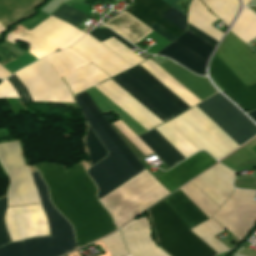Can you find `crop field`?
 <instances>
[{"label":"crop field","mask_w":256,"mask_h":256,"mask_svg":"<svg viewBox=\"0 0 256 256\" xmlns=\"http://www.w3.org/2000/svg\"><path fill=\"white\" fill-rule=\"evenodd\" d=\"M155 129L185 158L205 149L220 159L238 147L196 106Z\"/></svg>","instance_id":"crop-field-3"},{"label":"crop field","mask_w":256,"mask_h":256,"mask_svg":"<svg viewBox=\"0 0 256 256\" xmlns=\"http://www.w3.org/2000/svg\"><path fill=\"white\" fill-rule=\"evenodd\" d=\"M253 11L256 12V7H250Z\"/></svg>","instance_id":"crop-field-47"},{"label":"crop field","mask_w":256,"mask_h":256,"mask_svg":"<svg viewBox=\"0 0 256 256\" xmlns=\"http://www.w3.org/2000/svg\"><path fill=\"white\" fill-rule=\"evenodd\" d=\"M4 30H6L3 26H1L0 25V33L2 32V31H4Z\"/></svg>","instance_id":"crop-field-46"},{"label":"crop field","mask_w":256,"mask_h":256,"mask_svg":"<svg viewBox=\"0 0 256 256\" xmlns=\"http://www.w3.org/2000/svg\"><path fill=\"white\" fill-rule=\"evenodd\" d=\"M11 75L8 71H6L2 66H0V78H5Z\"/></svg>","instance_id":"crop-field-44"},{"label":"crop field","mask_w":256,"mask_h":256,"mask_svg":"<svg viewBox=\"0 0 256 256\" xmlns=\"http://www.w3.org/2000/svg\"><path fill=\"white\" fill-rule=\"evenodd\" d=\"M85 145L90 155L92 165H94L96 162L100 161L107 155V151L99 142L90 127H88L87 130Z\"/></svg>","instance_id":"crop-field-31"},{"label":"crop field","mask_w":256,"mask_h":256,"mask_svg":"<svg viewBox=\"0 0 256 256\" xmlns=\"http://www.w3.org/2000/svg\"><path fill=\"white\" fill-rule=\"evenodd\" d=\"M0 164L10 179L8 206L40 203L30 170L17 141L0 144Z\"/></svg>","instance_id":"crop-field-8"},{"label":"crop field","mask_w":256,"mask_h":256,"mask_svg":"<svg viewBox=\"0 0 256 256\" xmlns=\"http://www.w3.org/2000/svg\"><path fill=\"white\" fill-rule=\"evenodd\" d=\"M6 209V196L0 199V246L10 242L3 224V214Z\"/></svg>","instance_id":"crop-field-38"},{"label":"crop field","mask_w":256,"mask_h":256,"mask_svg":"<svg viewBox=\"0 0 256 256\" xmlns=\"http://www.w3.org/2000/svg\"><path fill=\"white\" fill-rule=\"evenodd\" d=\"M70 48L111 77L133 66L88 34Z\"/></svg>","instance_id":"crop-field-15"},{"label":"crop field","mask_w":256,"mask_h":256,"mask_svg":"<svg viewBox=\"0 0 256 256\" xmlns=\"http://www.w3.org/2000/svg\"><path fill=\"white\" fill-rule=\"evenodd\" d=\"M163 201L189 229L208 220L180 190L169 195Z\"/></svg>","instance_id":"crop-field-23"},{"label":"crop field","mask_w":256,"mask_h":256,"mask_svg":"<svg viewBox=\"0 0 256 256\" xmlns=\"http://www.w3.org/2000/svg\"><path fill=\"white\" fill-rule=\"evenodd\" d=\"M160 246L171 256H212L228 250L214 236L225 228L212 218L189 231L162 201L149 209Z\"/></svg>","instance_id":"crop-field-2"},{"label":"crop field","mask_w":256,"mask_h":256,"mask_svg":"<svg viewBox=\"0 0 256 256\" xmlns=\"http://www.w3.org/2000/svg\"><path fill=\"white\" fill-rule=\"evenodd\" d=\"M248 115H249L254 121H256V111L250 112V113H248Z\"/></svg>","instance_id":"crop-field-45"},{"label":"crop field","mask_w":256,"mask_h":256,"mask_svg":"<svg viewBox=\"0 0 256 256\" xmlns=\"http://www.w3.org/2000/svg\"><path fill=\"white\" fill-rule=\"evenodd\" d=\"M210 76L248 112L256 109V84L246 87L216 55L210 63Z\"/></svg>","instance_id":"crop-field-16"},{"label":"crop field","mask_w":256,"mask_h":256,"mask_svg":"<svg viewBox=\"0 0 256 256\" xmlns=\"http://www.w3.org/2000/svg\"><path fill=\"white\" fill-rule=\"evenodd\" d=\"M132 43H137L145 37L151 29L123 11L113 19L104 23Z\"/></svg>","instance_id":"crop-field-25"},{"label":"crop field","mask_w":256,"mask_h":256,"mask_svg":"<svg viewBox=\"0 0 256 256\" xmlns=\"http://www.w3.org/2000/svg\"><path fill=\"white\" fill-rule=\"evenodd\" d=\"M5 96L19 98L18 94L15 92V90L6 79L0 84V97Z\"/></svg>","instance_id":"crop-field-41"},{"label":"crop field","mask_w":256,"mask_h":256,"mask_svg":"<svg viewBox=\"0 0 256 256\" xmlns=\"http://www.w3.org/2000/svg\"><path fill=\"white\" fill-rule=\"evenodd\" d=\"M15 40H22V41L27 42L26 40L22 39L21 37L15 35V34H13V33L9 34V36H8V38H7V41H9V42L15 44ZM27 43H29V42H27ZM29 45H30L31 49L28 50V52L32 53V54L35 55L37 58L40 59V58H42V57H44V56L49 55V54H47L46 52H44V51L38 49L37 47H35V46L32 45L31 43H29ZM32 54H31V55H32ZM35 56H34V57H35Z\"/></svg>","instance_id":"crop-field-40"},{"label":"crop field","mask_w":256,"mask_h":256,"mask_svg":"<svg viewBox=\"0 0 256 256\" xmlns=\"http://www.w3.org/2000/svg\"><path fill=\"white\" fill-rule=\"evenodd\" d=\"M42 205L48 218L51 236L35 237L21 241L24 256H61L75 249L71 226L51 205L47 187L38 171L32 172Z\"/></svg>","instance_id":"crop-field-6"},{"label":"crop field","mask_w":256,"mask_h":256,"mask_svg":"<svg viewBox=\"0 0 256 256\" xmlns=\"http://www.w3.org/2000/svg\"><path fill=\"white\" fill-rule=\"evenodd\" d=\"M167 4H169L171 7L175 8L177 11L182 13L184 16H186V12L175 6L174 4L179 1V0H163ZM171 8L167 13H165L162 17L166 18L167 20L171 21L175 25H177L179 28L182 30H185V20L186 17H184L182 14L177 12L175 9Z\"/></svg>","instance_id":"crop-field-35"},{"label":"crop field","mask_w":256,"mask_h":256,"mask_svg":"<svg viewBox=\"0 0 256 256\" xmlns=\"http://www.w3.org/2000/svg\"><path fill=\"white\" fill-rule=\"evenodd\" d=\"M196 106L239 146L256 135V127L220 93Z\"/></svg>","instance_id":"crop-field-10"},{"label":"crop field","mask_w":256,"mask_h":256,"mask_svg":"<svg viewBox=\"0 0 256 256\" xmlns=\"http://www.w3.org/2000/svg\"><path fill=\"white\" fill-rule=\"evenodd\" d=\"M95 87L147 130L163 123L111 79Z\"/></svg>","instance_id":"crop-field-17"},{"label":"crop field","mask_w":256,"mask_h":256,"mask_svg":"<svg viewBox=\"0 0 256 256\" xmlns=\"http://www.w3.org/2000/svg\"><path fill=\"white\" fill-rule=\"evenodd\" d=\"M208 218L219 207L212 200H210L206 195H204L200 190H198L194 185L188 183L183 188L180 189Z\"/></svg>","instance_id":"crop-field-30"},{"label":"crop field","mask_w":256,"mask_h":256,"mask_svg":"<svg viewBox=\"0 0 256 256\" xmlns=\"http://www.w3.org/2000/svg\"><path fill=\"white\" fill-rule=\"evenodd\" d=\"M81 13L63 4L56 12L52 14V16L76 27L85 18H87V16L83 15L84 13Z\"/></svg>","instance_id":"crop-field-33"},{"label":"crop field","mask_w":256,"mask_h":256,"mask_svg":"<svg viewBox=\"0 0 256 256\" xmlns=\"http://www.w3.org/2000/svg\"><path fill=\"white\" fill-rule=\"evenodd\" d=\"M111 79L163 122L190 108L139 65Z\"/></svg>","instance_id":"crop-field-5"},{"label":"crop field","mask_w":256,"mask_h":256,"mask_svg":"<svg viewBox=\"0 0 256 256\" xmlns=\"http://www.w3.org/2000/svg\"><path fill=\"white\" fill-rule=\"evenodd\" d=\"M14 74L28 89L33 101L75 103L46 57Z\"/></svg>","instance_id":"crop-field-9"},{"label":"crop field","mask_w":256,"mask_h":256,"mask_svg":"<svg viewBox=\"0 0 256 256\" xmlns=\"http://www.w3.org/2000/svg\"><path fill=\"white\" fill-rule=\"evenodd\" d=\"M50 64L60 77L90 63L70 48L47 56Z\"/></svg>","instance_id":"crop-field-28"},{"label":"crop field","mask_w":256,"mask_h":256,"mask_svg":"<svg viewBox=\"0 0 256 256\" xmlns=\"http://www.w3.org/2000/svg\"><path fill=\"white\" fill-rule=\"evenodd\" d=\"M188 30H190L191 32L195 33L196 35H198L199 37H201L205 41L209 42L213 46H216L217 43H218V42L214 41L213 39H211L210 37H208L205 34H203L202 32L198 31L197 29H195L194 27H192L189 24H188Z\"/></svg>","instance_id":"crop-field-43"},{"label":"crop field","mask_w":256,"mask_h":256,"mask_svg":"<svg viewBox=\"0 0 256 256\" xmlns=\"http://www.w3.org/2000/svg\"><path fill=\"white\" fill-rule=\"evenodd\" d=\"M139 138L170 168L184 160V157L155 129L139 136Z\"/></svg>","instance_id":"crop-field-27"},{"label":"crop field","mask_w":256,"mask_h":256,"mask_svg":"<svg viewBox=\"0 0 256 256\" xmlns=\"http://www.w3.org/2000/svg\"><path fill=\"white\" fill-rule=\"evenodd\" d=\"M4 220L12 242L50 235L41 204L7 208Z\"/></svg>","instance_id":"crop-field-13"},{"label":"crop field","mask_w":256,"mask_h":256,"mask_svg":"<svg viewBox=\"0 0 256 256\" xmlns=\"http://www.w3.org/2000/svg\"><path fill=\"white\" fill-rule=\"evenodd\" d=\"M102 43L133 65L145 60L140 56H138L137 54H135L130 49H128L127 47H125L124 45H122L113 37Z\"/></svg>","instance_id":"crop-field-32"},{"label":"crop field","mask_w":256,"mask_h":256,"mask_svg":"<svg viewBox=\"0 0 256 256\" xmlns=\"http://www.w3.org/2000/svg\"><path fill=\"white\" fill-rule=\"evenodd\" d=\"M214 48L187 30L158 54L172 58L197 74L205 75V67Z\"/></svg>","instance_id":"crop-field-12"},{"label":"crop field","mask_w":256,"mask_h":256,"mask_svg":"<svg viewBox=\"0 0 256 256\" xmlns=\"http://www.w3.org/2000/svg\"><path fill=\"white\" fill-rule=\"evenodd\" d=\"M74 98L103 145L127 173L133 177L145 169L115 132L86 91Z\"/></svg>","instance_id":"crop-field-7"},{"label":"crop field","mask_w":256,"mask_h":256,"mask_svg":"<svg viewBox=\"0 0 256 256\" xmlns=\"http://www.w3.org/2000/svg\"><path fill=\"white\" fill-rule=\"evenodd\" d=\"M150 230L146 217L133 220L121 228L130 256H168L152 241Z\"/></svg>","instance_id":"crop-field-18"},{"label":"crop field","mask_w":256,"mask_h":256,"mask_svg":"<svg viewBox=\"0 0 256 256\" xmlns=\"http://www.w3.org/2000/svg\"><path fill=\"white\" fill-rule=\"evenodd\" d=\"M155 23V22H154ZM151 24L150 28H152L155 32H157L158 34H160L161 36H163L165 39H167L168 41H173L175 38V36H173L172 34H170L169 32L165 31L164 29H162L161 27L157 26L156 24Z\"/></svg>","instance_id":"crop-field-42"},{"label":"crop field","mask_w":256,"mask_h":256,"mask_svg":"<svg viewBox=\"0 0 256 256\" xmlns=\"http://www.w3.org/2000/svg\"><path fill=\"white\" fill-rule=\"evenodd\" d=\"M170 193L146 169L102 199L117 226Z\"/></svg>","instance_id":"crop-field-4"},{"label":"crop field","mask_w":256,"mask_h":256,"mask_svg":"<svg viewBox=\"0 0 256 256\" xmlns=\"http://www.w3.org/2000/svg\"><path fill=\"white\" fill-rule=\"evenodd\" d=\"M44 1L45 0H0V23L3 24L33 8H36ZM33 13H35V9L3 24V26L7 28Z\"/></svg>","instance_id":"crop-field-26"},{"label":"crop field","mask_w":256,"mask_h":256,"mask_svg":"<svg viewBox=\"0 0 256 256\" xmlns=\"http://www.w3.org/2000/svg\"><path fill=\"white\" fill-rule=\"evenodd\" d=\"M91 36H93L98 41H103L111 36L115 37L117 40L122 42L124 45H126L128 48H133L132 45H130L128 42H126L124 39L116 35L114 32H112L110 29H94L90 33Z\"/></svg>","instance_id":"crop-field-36"},{"label":"crop field","mask_w":256,"mask_h":256,"mask_svg":"<svg viewBox=\"0 0 256 256\" xmlns=\"http://www.w3.org/2000/svg\"><path fill=\"white\" fill-rule=\"evenodd\" d=\"M236 174L224 166L217 164L212 169L191 181L219 206L234 190L232 181Z\"/></svg>","instance_id":"crop-field-19"},{"label":"crop field","mask_w":256,"mask_h":256,"mask_svg":"<svg viewBox=\"0 0 256 256\" xmlns=\"http://www.w3.org/2000/svg\"><path fill=\"white\" fill-rule=\"evenodd\" d=\"M87 174L93 178L98 187V199L130 179L110 154L89 169Z\"/></svg>","instance_id":"crop-field-21"},{"label":"crop field","mask_w":256,"mask_h":256,"mask_svg":"<svg viewBox=\"0 0 256 256\" xmlns=\"http://www.w3.org/2000/svg\"><path fill=\"white\" fill-rule=\"evenodd\" d=\"M6 79L10 82L13 88L16 89L17 93L19 94L20 98L24 101V103L32 101L26 88L22 85V83L16 78L14 74Z\"/></svg>","instance_id":"crop-field-37"},{"label":"crop field","mask_w":256,"mask_h":256,"mask_svg":"<svg viewBox=\"0 0 256 256\" xmlns=\"http://www.w3.org/2000/svg\"><path fill=\"white\" fill-rule=\"evenodd\" d=\"M214 163L216 161L212 157L200 151L156 179L172 192Z\"/></svg>","instance_id":"crop-field-20"},{"label":"crop field","mask_w":256,"mask_h":256,"mask_svg":"<svg viewBox=\"0 0 256 256\" xmlns=\"http://www.w3.org/2000/svg\"><path fill=\"white\" fill-rule=\"evenodd\" d=\"M35 167L49 187L52 203L74 226L78 247L117 229L96 200V187L81 163L67 171L57 164Z\"/></svg>","instance_id":"crop-field-1"},{"label":"crop field","mask_w":256,"mask_h":256,"mask_svg":"<svg viewBox=\"0 0 256 256\" xmlns=\"http://www.w3.org/2000/svg\"><path fill=\"white\" fill-rule=\"evenodd\" d=\"M216 53L247 86L256 83V56L230 32Z\"/></svg>","instance_id":"crop-field-14"},{"label":"crop field","mask_w":256,"mask_h":256,"mask_svg":"<svg viewBox=\"0 0 256 256\" xmlns=\"http://www.w3.org/2000/svg\"><path fill=\"white\" fill-rule=\"evenodd\" d=\"M0 256H22L20 241L10 243L0 248Z\"/></svg>","instance_id":"crop-field-39"},{"label":"crop field","mask_w":256,"mask_h":256,"mask_svg":"<svg viewBox=\"0 0 256 256\" xmlns=\"http://www.w3.org/2000/svg\"><path fill=\"white\" fill-rule=\"evenodd\" d=\"M102 240L111 256H123L128 254L123 245L119 231Z\"/></svg>","instance_id":"crop-field-34"},{"label":"crop field","mask_w":256,"mask_h":256,"mask_svg":"<svg viewBox=\"0 0 256 256\" xmlns=\"http://www.w3.org/2000/svg\"><path fill=\"white\" fill-rule=\"evenodd\" d=\"M134 5L128 8L127 11L132 16L140 20L145 25H150L155 22L162 28L166 29L175 36H179L184 31L171 24L161 16L171 7L162 0H133Z\"/></svg>","instance_id":"crop-field-22"},{"label":"crop field","mask_w":256,"mask_h":256,"mask_svg":"<svg viewBox=\"0 0 256 256\" xmlns=\"http://www.w3.org/2000/svg\"><path fill=\"white\" fill-rule=\"evenodd\" d=\"M40 24V23H39ZM17 35L35 46L49 52L64 50L81 38L84 33L50 16L32 30H24Z\"/></svg>","instance_id":"crop-field-11"},{"label":"crop field","mask_w":256,"mask_h":256,"mask_svg":"<svg viewBox=\"0 0 256 256\" xmlns=\"http://www.w3.org/2000/svg\"><path fill=\"white\" fill-rule=\"evenodd\" d=\"M231 32L237 35L245 44L256 38V15L243 8Z\"/></svg>","instance_id":"crop-field-29"},{"label":"crop field","mask_w":256,"mask_h":256,"mask_svg":"<svg viewBox=\"0 0 256 256\" xmlns=\"http://www.w3.org/2000/svg\"><path fill=\"white\" fill-rule=\"evenodd\" d=\"M62 78L68 84L74 96L111 77L90 63Z\"/></svg>","instance_id":"crop-field-24"}]
</instances>
